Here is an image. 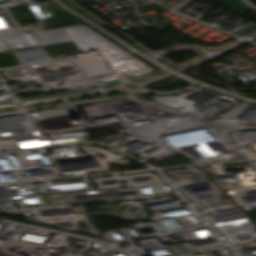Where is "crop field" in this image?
<instances>
[{
  "instance_id": "crop-field-1",
  "label": "crop field",
  "mask_w": 256,
  "mask_h": 256,
  "mask_svg": "<svg viewBox=\"0 0 256 256\" xmlns=\"http://www.w3.org/2000/svg\"><path fill=\"white\" fill-rule=\"evenodd\" d=\"M217 3L223 4V5H227L235 10H239V11H246L247 9H249L248 7H246L242 2H240L239 0H214Z\"/></svg>"
}]
</instances>
